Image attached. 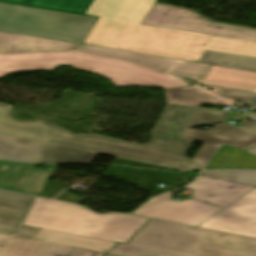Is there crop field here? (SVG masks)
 I'll use <instances>...</instances> for the list:
<instances>
[{"label": "crop field", "mask_w": 256, "mask_h": 256, "mask_svg": "<svg viewBox=\"0 0 256 256\" xmlns=\"http://www.w3.org/2000/svg\"><path fill=\"white\" fill-rule=\"evenodd\" d=\"M199 62L256 71V59L205 51Z\"/></svg>", "instance_id": "obj_22"}, {"label": "crop field", "mask_w": 256, "mask_h": 256, "mask_svg": "<svg viewBox=\"0 0 256 256\" xmlns=\"http://www.w3.org/2000/svg\"><path fill=\"white\" fill-rule=\"evenodd\" d=\"M56 167L50 165L48 171H42L34 165L0 161V189L38 196Z\"/></svg>", "instance_id": "obj_13"}, {"label": "crop field", "mask_w": 256, "mask_h": 256, "mask_svg": "<svg viewBox=\"0 0 256 256\" xmlns=\"http://www.w3.org/2000/svg\"><path fill=\"white\" fill-rule=\"evenodd\" d=\"M95 156V153L0 134V159L33 163H91Z\"/></svg>", "instance_id": "obj_8"}, {"label": "crop field", "mask_w": 256, "mask_h": 256, "mask_svg": "<svg viewBox=\"0 0 256 256\" xmlns=\"http://www.w3.org/2000/svg\"><path fill=\"white\" fill-rule=\"evenodd\" d=\"M80 51L126 59L131 62L157 68L165 72L190 78L201 83L211 65L179 61L170 58L141 55L112 49L80 45Z\"/></svg>", "instance_id": "obj_12"}, {"label": "crop field", "mask_w": 256, "mask_h": 256, "mask_svg": "<svg viewBox=\"0 0 256 256\" xmlns=\"http://www.w3.org/2000/svg\"><path fill=\"white\" fill-rule=\"evenodd\" d=\"M78 44L0 32V52L75 50Z\"/></svg>", "instance_id": "obj_17"}, {"label": "crop field", "mask_w": 256, "mask_h": 256, "mask_svg": "<svg viewBox=\"0 0 256 256\" xmlns=\"http://www.w3.org/2000/svg\"><path fill=\"white\" fill-rule=\"evenodd\" d=\"M202 84L256 93V72L212 65Z\"/></svg>", "instance_id": "obj_18"}, {"label": "crop field", "mask_w": 256, "mask_h": 256, "mask_svg": "<svg viewBox=\"0 0 256 256\" xmlns=\"http://www.w3.org/2000/svg\"><path fill=\"white\" fill-rule=\"evenodd\" d=\"M181 138L205 142L193 158L196 164L205 169L222 144L245 150L256 144V134L241 126L236 128L227 123L216 125L215 128L203 132L198 130H182Z\"/></svg>", "instance_id": "obj_10"}, {"label": "crop field", "mask_w": 256, "mask_h": 256, "mask_svg": "<svg viewBox=\"0 0 256 256\" xmlns=\"http://www.w3.org/2000/svg\"><path fill=\"white\" fill-rule=\"evenodd\" d=\"M192 108L168 104L153 130L152 141L145 145L62 131L42 121L16 120L11 118L12 107L3 103H0V133L178 171L198 170L201 168L185 156L194 141L178 138Z\"/></svg>", "instance_id": "obj_2"}, {"label": "crop field", "mask_w": 256, "mask_h": 256, "mask_svg": "<svg viewBox=\"0 0 256 256\" xmlns=\"http://www.w3.org/2000/svg\"><path fill=\"white\" fill-rule=\"evenodd\" d=\"M199 227L256 238V187Z\"/></svg>", "instance_id": "obj_11"}, {"label": "crop field", "mask_w": 256, "mask_h": 256, "mask_svg": "<svg viewBox=\"0 0 256 256\" xmlns=\"http://www.w3.org/2000/svg\"><path fill=\"white\" fill-rule=\"evenodd\" d=\"M241 125L249 128L250 130H252V131H254L256 133V123L241 122Z\"/></svg>", "instance_id": "obj_28"}, {"label": "crop field", "mask_w": 256, "mask_h": 256, "mask_svg": "<svg viewBox=\"0 0 256 256\" xmlns=\"http://www.w3.org/2000/svg\"><path fill=\"white\" fill-rule=\"evenodd\" d=\"M168 102L200 107L201 103L232 106L233 102L216 96L198 86L166 90Z\"/></svg>", "instance_id": "obj_20"}, {"label": "crop field", "mask_w": 256, "mask_h": 256, "mask_svg": "<svg viewBox=\"0 0 256 256\" xmlns=\"http://www.w3.org/2000/svg\"><path fill=\"white\" fill-rule=\"evenodd\" d=\"M93 0H29V6L85 14Z\"/></svg>", "instance_id": "obj_23"}, {"label": "crop field", "mask_w": 256, "mask_h": 256, "mask_svg": "<svg viewBox=\"0 0 256 256\" xmlns=\"http://www.w3.org/2000/svg\"><path fill=\"white\" fill-rule=\"evenodd\" d=\"M206 169H256V157L236 148L221 146Z\"/></svg>", "instance_id": "obj_21"}, {"label": "crop field", "mask_w": 256, "mask_h": 256, "mask_svg": "<svg viewBox=\"0 0 256 256\" xmlns=\"http://www.w3.org/2000/svg\"><path fill=\"white\" fill-rule=\"evenodd\" d=\"M32 196L0 191V233L31 239L38 228L20 225Z\"/></svg>", "instance_id": "obj_14"}, {"label": "crop field", "mask_w": 256, "mask_h": 256, "mask_svg": "<svg viewBox=\"0 0 256 256\" xmlns=\"http://www.w3.org/2000/svg\"><path fill=\"white\" fill-rule=\"evenodd\" d=\"M71 247L0 234V256H67Z\"/></svg>", "instance_id": "obj_16"}, {"label": "crop field", "mask_w": 256, "mask_h": 256, "mask_svg": "<svg viewBox=\"0 0 256 256\" xmlns=\"http://www.w3.org/2000/svg\"><path fill=\"white\" fill-rule=\"evenodd\" d=\"M142 24L256 41V28L214 22L192 10L161 3H155Z\"/></svg>", "instance_id": "obj_7"}, {"label": "crop field", "mask_w": 256, "mask_h": 256, "mask_svg": "<svg viewBox=\"0 0 256 256\" xmlns=\"http://www.w3.org/2000/svg\"><path fill=\"white\" fill-rule=\"evenodd\" d=\"M109 253L122 256H256V239L151 219L127 244Z\"/></svg>", "instance_id": "obj_3"}, {"label": "crop field", "mask_w": 256, "mask_h": 256, "mask_svg": "<svg viewBox=\"0 0 256 256\" xmlns=\"http://www.w3.org/2000/svg\"><path fill=\"white\" fill-rule=\"evenodd\" d=\"M0 1L25 5L27 0H0Z\"/></svg>", "instance_id": "obj_29"}, {"label": "crop field", "mask_w": 256, "mask_h": 256, "mask_svg": "<svg viewBox=\"0 0 256 256\" xmlns=\"http://www.w3.org/2000/svg\"><path fill=\"white\" fill-rule=\"evenodd\" d=\"M189 188L192 189L189 198L225 207L253 186L200 176Z\"/></svg>", "instance_id": "obj_15"}, {"label": "crop field", "mask_w": 256, "mask_h": 256, "mask_svg": "<svg viewBox=\"0 0 256 256\" xmlns=\"http://www.w3.org/2000/svg\"><path fill=\"white\" fill-rule=\"evenodd\" d=\"M157 0H94L99 16L84 44L199 61L205 50L256 58V42L141 25Z\"/></svg>", "instance_id": "obj_1"}, {"label": "crop field", "mask_w": 256, "mask_h": 256, "mask_svg": "<svg viewBox=\"0 0 256 256\" xmlns=\"http://www.w3.org/2000/svg\"><path fill=\"white\" fill-rule=\"evenodd\" d=\"M223 97L238 99L249 103L256 98V94L230 90L225 95H223Z\"/></svg>", "instance_id": "obj_26"}, {"label": "crop field", "mask_w": 256, "mask_h": 256, "mask_svg": "<svg viewBox=\"0 0 256 256\" xmlns=\"http://www.w3.org/2000/svg\"><path fill=\"white\" fill-rule=\"evenodd\" d=\"M229 112L194 108L184 129L227 121Z\"/></svg>", "instance_id": "obj_24"}, {"label": "crop field", "mask_w": 256, "mask_h": 256, "mask_svg": "<svg viewBox=\"0 0 256 256\" xmlns=\"http://www.w3.org/2000/svg\"><path fill=\"white\" fill-rule=\"evenodd\" d=\"M251 105H253L254 107H256V101H255V102H253Z\"/></svg>", "instance_id": "obj_32"}, {"label": "crop field", "mask_w": 256, "mask_h": 256, "mask_svg": "<svg viewBox=\"0 0 256 256\" xmlns=\"http://www.w3.org/2000/svg\"><path fill=\"white\" fill-rule=\"evenodd\" d=\"M65 64L105 77L116 86L147 85L165 89L190 86L173 76L136 64L75 52L0 54V77L13 71L53 70Z\"/></svg>", "instance_id": "obj_4"}, {"label": "crop field", "mask_w": 256, "mask_h": 256, "mask_svg": "<svg viewBox=\"0 0 256 256\" xmlns=\"http://www.w3.org/2000/svg\"><path fill=\"white\" fill-rule=\"evenodd\" d=\"M106 256H116V255H110V254H107Z\"/></svg>", "instance_id": "obj_33"}, {"label": "crop field", "mask_w": 256, "mask_h": 256, "mask_svg": "<svg viewBox=\"0 0 256 256\" xmlns=\"http://www.w3.org/2000/svg\"><path fill=\"white\" fill-rule=\"evenodd\" d=\"M173 193L163 194L132 213L154 219L166 220L197 226L223 208L202 203L196 200L173 201Z\"/></svg>", "instance_id": "obj_9"}, {"label": "crop field", "mask_w": 256, "mask_h": 256, "mask_svg": "<svg viewBox=\"0 0 256 256\" xmlns=\"http://www.w3.org/2000/svg\"><path fill=\"white\" fill-rule=\"evenodd\" d=\"M246 152L251 153V154H253V155H256V146H255L254 148H252V149L246 151Z\"/></svg>", "instance_id": "obj_31"}, {"label": "crop field", "mask_w": 256, "mask_h": 256, "mask_svg": "<svg viewBox=\"0 0 256 256\" xmlns=\"http://www.w3.org/2000/svg\"><path fill=\"white\" fill-rule=\"evenodd\" d=\"M147 220L125 214L98 216L77 205L36 198L24 224L125 243Z\"/></svg>", "instance_id": "obj_5"}, {"label": "crop field", "mask_w": 256, "mask_h": 256, "mask_svg": "<svg viewBox=\"0 0 256 256\" xmlns=\"http://www.w3.org/2000/svg\"><path fill=\"white\" fill-rule=\"evenodd\" d=\"M95 19L0 3V31L81 43Z\"/></svg>", "instance_id": "obj_6"}, {"label": "crop field", "mask_w": 256, "mask_h": 256, "mask_svg": "<svg viewBox=\"0 0 256 256\" xmlns=\"http://www.w3.org/2000/svg\"><path fill=\"white\" fill-rule=\"evenodd\" d=\"M228 91V89H224V88H221V89H219L217 92H215V93H217V94H219V95H223L224 93H226Z\"/></svg>", "instance_id": "obj_30"}, {"label": "crop field", "mask_w": 256, "mask_h": 256, "mask_svg": "<svg viewBox=\"0 0 256 256\" xmlns=\"http://www.w3.org/2000/svg\"><path fill=\"white\" fill-rule=\"evenodd\" d=\"M202 175L256 186V171H205Z\"/></svg>", "instance_id": "obj_25"}, {"label": "crop field", "mask_w": 256, "mask_h": 256, "mask_svg": "<svg viewBox=\"0 0 256 256\" xmlns=\"http://www.w3.org/2000/svg\"><path fill=\"white\" fill-rule=\"evenodd\" d=\"M105 253L73 248L68 256H103Z\"/></svg>", "instance_id": "obj_27"}, {"label": "crop field", "mask_w": 256, "mask_h": 256, "mask_svg": "<svg viewBox=\"0 0 256 256\" xmlns=\"http://www.w3.org/2000/svg\"><path fill=\"white\" fill-rule=\"evenodd\" d=\"M32 239L102 252H108L115 244L114 242L75 236L46 229H39Z\"/></svg>", "instance_id": "obj_19"}]
</instances>
